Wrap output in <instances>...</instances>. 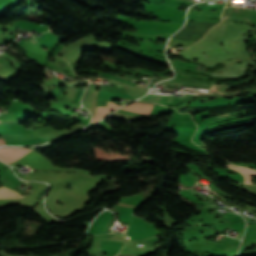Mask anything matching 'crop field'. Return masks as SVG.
<instances>
[{"instance_id":"crop-field-6","label":"crop field","mask_w":256,"mask_h":256,"mask_svg":"<svg viewBox=\"0 0 256 256\" xmlns=\"http://www.w3.org/2000/svg\"><path fill=\"white\" fill-rule=\"evenodd\" d=\"M1 198H18V197L15 191L2 187L0 188V199Z\"/></svg>"},{"instance_id":"crop-field-12","label":"crop field","mask_w":256,"mask_h":256,"mask_svg":"<svg viewBox=\"0 0 256 256\" xmlns=\"http://www.w3.org/2000/svg\"><path fill=\"white\" fill-rule=\"evenodd\" d=\"M128 228V227H127Z\"/></svg>"},{"instance_id":"crop-field-3","label":"crop field","mask_w":256,"mask_h":256,"mask_svg":"<svg viewBox=\"0 0 256 256\" xmlns=\"http://www.w3.org/2000/svg\"><path fill=\"white\" fill-rule=\"evenodd\" d=\"M120 106H117L115 104L109 103L107 104V107H98L97 112L95 114V116L92 118L93 123L99 121L100 119H102L103 117H105L110 111L118 108Z\"/></svg>"},{"instance_id":"crop-field-10","label":"crop field","mask_w":256,"mask_h":256,"mask_svg":"<svg viewBox=\"0 0 256 256\" xmlns=\"http://www.w3.org/2000/svg\"><path fill=\"white\" fill-rule=\"evenodd\" d=\"M30 41H32V40H30ZM33 42V41H32ZM34 43V42H33Z\"/></svg>"},{"instance_id":"crop-field-11","label":"crop field","mask_w":256,"mask_h":256,"mask_svg":"<svg viewBox=\"0 0 256 256\" xmlns=\"http://www.w3.org/2000/svg\"><path fill=\"white\" fill-rule=\"evenodd\" d=\"M122 99V98H121ZM130 100V99H129Z\"/></svg>"},{"instance_id":"crop-field-2","label":"crop field","mask_w":256,"mask_h":256,"mask_svg":"<svg viewBox=\"0 0 256 256\" xmlns=\"http://www.w3.org/2000/svg\"><path fill=\"white\" fill-rule=\"evenodd\" d=\"M122 109L141 114H150L151 110L153 109V105L143 103H132Z\"/></svg>"},{"instance_id":"crop-field-8","label":"crop field","mask_w":256,"mask_h":256,"mask_svg":"<svg viewBox=\"0 0 256 256\" xmlns=\"http://www.w3.org/2000/svg\"><path fill=\"white\" fill-rule=\"evenodd\" d=\"M1 145H6L5 142H4L3 137H2V139H0V146H1Z\"/></svg>"},{"instance_id":"crop-field-5","label":"crop field","mask_w":256,"mask_h":256,"mask_svg":"<svg viewBox=\"0 0 256 256\" xmlns=\"http://www.w3.org/2000/svg\"><path fill=\"white\" fill-rule=\"evenodd\" d=\"M3 179H5L6 182H3ZM0 182L13 188H16V186L19 184V182L12 176L10 171H6L0 175Z\"/></svg>"},{"instance_id":"crop-field-9","label":"crop field","mask_w":256,"mask_h":256,"mask_svg":"<svg viewBox=\"0 0 256 256\" xmlns=\"http://www.w3.org/2000/svg\"><path fill=\"white\" fill-rule=\"evenodd\" d=\"M101 78H103V77H101ZM103 79H105V78H103ZM107 80V79H106ZM109 81V80H108Z\"/></svg>"},{"instance_id":"crop-field-1","label":"crop field","mask_w":256,"mask_h":256,"mask_svg":"<svg viewBox=\"0 0 256 256\" xmlns=\"http://www.w3.org/2000/svg\"><path fill=\"white\" fill-rule=\"evenodd\" d=\"M1 148L7 150L8 152L12 153L13 155L19 158L23 157L26 153L33 151L29 149L16 148V147H1ZM1 148H0V160L10 164L18 159Z\"/></svg>"},{"instance_id":"crop-field-7","label":"crop field","mask_w":256,"mask_h":256,"mask_svg":"<svg viewBox=\"0 0 256 256\" xmlns=\"http://www.w3.org/2000/svg\"><path fill=\"white\" fill-rule=\"evenodd\" d=\"M99 74L118 80L117 78L112 77V76L107 75V74H104V73H99ZM119 81L124 82V83H127V84H130V85H133V86L142 87V88H147V87H145V86H141V85L129 83V82H126V81H124V80H119ZM147 89H148V88H147Z\"/></svg>"},{"instance_id":"crop-field-4","label":"crop field","mask_w":256,"mask_h":256,"mask_svg":"<svg viewBox=\"0 0 256 256\" xmlns=\"http://www.w3.org/2000/svg\"><path fill=\"white\" fill-rule=\"evenodd\" d=\"M227 167L231 168V169H234L236 170L237 172H239L240 174H242L244 176V180H245V183H251V176L254 175L256 176V171L255 170H252V169H248V168H244V167H237V166H230V165H227Z\"/></svg>"}]
</instances>
